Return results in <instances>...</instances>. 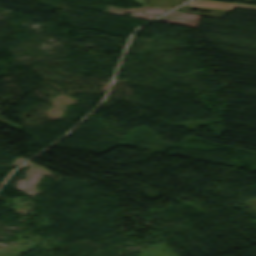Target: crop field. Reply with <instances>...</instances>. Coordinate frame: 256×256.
Here are the masks:
<instances>
[{
  "label": "crop field",
  "instance_id": "obj_2",
  "mask_svg": "<svg viewBox=\"0 0 256 256\" xmlns=\"http://www.w3.org/2000/svg\"><path fill=\"white\" fill-rule=\"evenodd\" d=\"M134 1H136L137 3H139L141 5H143L146 2L145 0H134Z\"/></svg>",
  "mask_w": 256,
  "mask_h": 256
},
{
  "label": "crop field",
  "instance_id": "obj_1",
  "mask_svg": "<svg viewBox=\"0 0 256 256\" xmlns=\"http://www.w3.org/2000/svg\"><path fill=\"white\" fill-rule=\"evenodd\" d=\"M185 5L217 8V9H225V10H230L234 6L256 8V6H250V5L230 4V3H222V2H214V1H206V0H192L191 2Z\"/></svg>",
  "mask_w": 256,
  "mask_h": 256
}]
</instances>
